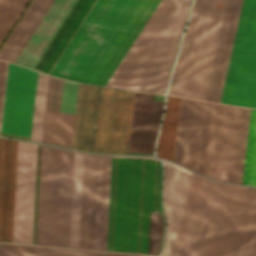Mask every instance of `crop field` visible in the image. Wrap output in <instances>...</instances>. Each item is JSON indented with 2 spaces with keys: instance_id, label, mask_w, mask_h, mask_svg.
Instances as JSON below:
<instances>
[{
  "instance_id": "obj_1",
  "label": "crop field",
  "mask_w": 256,
  "mask_h": 256,
  "mask_svg": "<svg viewBox=\"0 0 256 256\" xmlns=\"http://www.w3.org/2000/svg\"><path fill=\"white\" fill-rule=\"evenodd\" d=\"M161 164L112 156L107 251L147 254L149 212H161Z\"/></svg>"
},
{
  "instance_id": "obj_2",
  "label": "crop field",
  "mask_w": 256,
  "mask_h": 256,
  "mask_svg": "<svg viewBox=\"0 0 256 256\" xmlns=\"http://www.w3.org/2000/svg\"><path fill=\"white\" fill-rule=\"evenodd\" d=\"M191 0H162L106 86L163 92Z\"/></svg>"
},
{
  "instance_id": "obj_3",
  "label": "crop field",
  "mask_w": 256,
  "mask_h": 256,
  "mask_svg": "<svg viewBox=\"0 0 256 256\" xmlns=\"http://www.w3.org/2000/svg\"><path fill=\"white\" fill-rule=\"evenodd\" d=\"M66 150L42 145L36 244L62 247ZM83 153L67 150L63 247L78 248Z\"/></svg>"
},
{
  "instance_id": "obj_4",
  "label": "crop field",
  "mask_w": 256,
  "mask_h": 256,
  "mask_svg": "<svg viewBox=\"0 0 256 256\" xmlns=\"http://www.w3.org/2000/svg\"><path fill=\"white\" fill-rule=\"evenodd\" d=\"M142 0H97L51 75L89 83Z\"/></svg>"
},
{
  "instance_id": "obj_5",
  "label": "crop field",
  "mask_w": 256,
  "mask_h": 256,
  "mask_svg": "<svg viewBox=\"0 0 256 256\" xmlns=\"http://www.w3.org/2000/svg\"><path fill=\"white\" fill-rule=\"evenodd\" d=\"M227 0H194L168 94L204 100Z\"/></svg>"
},
{
  "instance_id": "obj_6",
  "label": "crop field",
  "mask_w": 256,
  "mask_h": 256,
  "mask_svg": "<svg viewBox=\"0 0 256 256\" xmlns=\"http://www.w3.org/2000/svg\"><path fill=\"white\" fill-rule=\"evenodd\" d=\"M16 141L0 138V241L11 242ZM36 144L17 141L12 242L31 244Z\"/></svg>"
},
{
  "instance_id": "obj_7",
  "label": "crop field",
  "mask_w": 256,
  "mask_h": 256,
  "mask_svg": "<svg viewBox=\"0 0 256 256\" xmlns=\"http://www.w3.org/2000/svg\"><path fill=\"white\" fill-rule=\"evenodd\" d=\"M249 112L211 103L203 175L240 183Z\"/></svg>"
},
{
  "instance_id": "obj_8",
  "label": "crop field",
  "mask_w": 256,
  "mask_h": 256,
  "mask_svg": "<svg viewBox=\"0 0 256 256\" xmlns=\"http://www.w3.org/2000/svg\"><path fill=\"white\" fill-rule=\"evenodd\" d=\"M255 97L256 0H243L220 102L253 107Z\"/></svg>"
},
{
  "instance_id": "obj_9",
  "label": "crop field",
  "mask_w": 256,
  "mask_h": 256,
  "mask_svg": "<svg viewBox=\"0 0 256 256\" xmlns=\"http://www.w3.org/2000/svg\"><path fill=\"white\" fill-rule=\"evenodd\" d=\"M111 156L84 153L79 248L106 251Z\"/></svg>"
},
{
  "instance_id": "obj_10",
  "label": "crop field",
  "mask_w": 256,
  "mask_h": 256,
  "mask_svg": "<svg viewBox=\"0 0 256 256\" xmlns=\"http://www.w3.org/2000/svg\"><path fill=\"white\" fill-rule=\"evenodd\" d=\"M6 62L0 61V104ZM37 72L6 65L0 112V132L29 137Z\"/></svg>"
},
{
  "instance_id": "obj_11",
  "label": "crop field",
  "mask_w": 256,
  "mask_h": 256,
  "mask_svg": "<svg viewBox=\"0 0 256 256\" xmlns=\"http://www.w3.org/2000/svg\"><path fill=\"white\" fill-rule=\"evenodd\" d=\"M217 184L193 174L171 256H198Z\"/></svg>"
},
{
  "instance_id": "obj_12",
  "label": "crop field",
  "mask_w": 256,
  "mask_h": 256,
  "mask_svg": "<svg viewBox=\"0 0 256 256\" xmlns=\"http://www.w3.org/2000/svg\"><path fill=\"white\" fill-rule=\"evenodd\" d=\"M246 188L218 184L199 256H229Z\"/></svg>"
},
{
  "instance_id": "obj_13",
  "label": "crop field",
  "mask_w": 256,
  "mask_h": 256,
  "mask_svg": "<svg viewBox=\"0 0 256 256\" xmlns=\"http://www.w3.org/2000/svg\"><path fill=\"white\" fill-rule=\"evenodd\" d=\"M210 103L181 98L173 161L201 173ZM195 171V172H196Z\"/></svg>"
},
{
  "instance_id": "obj_14",
  "label": "crop field",
  "mask_w": 256,
  "mask_h": 256,
  "mask_svg": "<svg viewBox=\"0 0 256 256\" xmlns=\"http://www.w3.org/2000/svg\"><path fill=\"white\" fill-rule=\"evenodd\" d=\"M78 83L49 77L46 109L75 114ZM45 110L42 141L71 147L75 115Z\"/></svg>"
},
{
  "instance_id": "obj_15",
  "label": "crop field",
  "mask_w": 256,
  "mask_h": 256,
  "mask_svg": "<svg viewBox=\"0 0 256 256\" xmlns=\"http://www.w3.org/2000/svg\"><path fill=\"white\" fill-rule=\"evenodd\" d=\"M135 92L128 151L153 153L164 101Z\"/></svg>"
},
{
  "instance_id": "obj_16",
  "label": "crop field",
  "mask_w": 256,
  "mask_h": 256,
  "mask_svg": "<svg viewBox=\"0 0 256 256\" xmlns=\"http://www.w3.org/2000/svg\"><path fill=\"white\" fill-rule=\"evenodd\" d=\"M160 0H143L109 54L90 81L105 86L137 35L159 4Z\"/></svg>"
},
{
  "instance_id": "obj_17",
  "label": "crop field",
  "mask_w": 256,
  "mask_h": 256,
  "mask_svg": "<svg viewBox=\"0 0 256 256\" xmlns=\"http://www.w3.org/2000/svg\"><path fill=\"white\" fill-rule=\"evenodd\" d=\"M96 0H76L54 36L33 66L49 74Z\"/></svg>"
},
{
  "instance_id": "obj_18",
  "label": "crop field",
  "mask_w": 256,
  "mask_h": 256,
  "mask_svg": "<svg viewBox=\"0 0 256 256\" xmlns=\"http://www.w3.org/2000/svg\"><path fill=\"white\" fill-rule=\"evenodd\" d=\"M242 0H228L216 51L212 75L206 95L208 101L219 102L230 50L238 21Z\"/></svg>"
},
{
  "instance_id": "obj_19",
  "label": "crop field",
  "mask_w": 256,
  "mask_h": 256,
  "mask_svg": "<svg viewBox=\"0 0 256 256\" xmlns=\"http://www.w3.org/2000/svg\"><path fill=\"white\" fill-rule=\"evenodd\" d=\"M163 162L165 165L163 207L166 236L161 255L167 256L190 172L169 162Z\"/></svg>"
},
{
  "instance_id": "obj_20",
  "label": "crop field",
  "mask_w": 256,
  "mask_h": 256,
  "mask_svg": "<svg viewBox=\"0 0 256 256\" xmlns=\"http://www.w3.org/2000/svg\"><path fill=\"white\" fill-rule=\"evenodd\" d=\"M75 0H55L16 61L32 68Z\"/></svg>"
},
{
  "instance_id": "obj_21",
  "label": "crop field",
  "mask_w": 256,
  "mask_h": 256,
  "mask_svg": "<svg viewBox=\"0 0 256 256\" xmlns=\"http://www.w3.org/2000/svg\"><path fill=\"white\" fill-rule=\"evenodd\" d=\"M230 256H256V189L247 188Z\"/></svg>"
},
{
  "instance_id": "obj_22",
  "label": "crop field",
  "mask_w": 256,
  "mask_h": 256,
  "mask_svg": "<svg viewBox=\"0 0 256 256\" xmlns=\"http://www.w3.org/2000/svg\"><path fill=\"white\" fill-rule=\"evenodd\" d=\"M0 256H140L19 244L0 243Z\"/></svg>"
},
{
  "instance_id": "obj_23",
  "label": "crop field",
  "mask_w": 256,
  "mask_h": 256,
  "mask_svg": "<svg viewBox=\"0 0 256 256\" xmlns=\"http://www.w3.org/2000/svg\"><path fill=\"white\" fill-rule=\"evenodd\" d=\"M180 98L167 96L161 133L156 155L172 160Z\"/></svg>"
},
{
  "instance_id": "obj_24",
  "label": "crop field",
  "mask_w": 256,
  "mask_h": 256,
  "mask_svg": "<svg viewBox=\"0 0 256 256\" xmlns=\"http://www.w3.org/2000/svg\"><path fill=\"white\" fill-rule=\"evenodd\" d=\"M241 183L256 185V110L251 109Z\"/></svg>"
},
{
  "instance_id": "obj_25",
  "label": "crop field",
  "mask_w": 256,
  "mask_h": 256,
  "mask_svg": "<svg viewBox=\"0 0 256 256\" xmlns=\"http://www.w3.org/2000/svg\"><path fill=\"white\" fill-rule=\"evenodd\" d=\"M48 76L38 72L30 140L41 142Z\"/></svg>"
},
{
  "instance_id": "obj_26",
  "label": "crop field",
  "mask_w": 256,
  "mask_h": 256,
  "mask_svg": "<svg viewBox=\"0 0 256 256\" xmlns=\"http://www.w3.org/2000/svg\"><path fill=\"white\" fill-rule=\"evenodd\" d=\"M5 0H0V7ZM27 0H6L0 9V41L21 11Z\"/></svg>"
},
{
  "instance_id": "obj_27",
  "label": "crop field",
  "mask_w": 256,
  "mask_h": 256,
  "mask_svg": "<svg viewBox=\"0 0 256 256\" xmlns=\"http://www.w3.org/2000/svg\"><path fill=\"white\" fill-rule=\"evenodd\" d=\"M163 232L162 214H150L148 254L157 255Z\"/></svg>"
},
{
  "instance_id": "obj_28",
  "label": "crop field",
  "mask_w": 256,
  "mask_h": 256,
  "mask_svg": "<svg viewBox=\"0 0 256 256\" xmlns=\"http://www.w3.org/2000/svg\"><path fill=\"white\" fill-rule=\"evenodd\" d=\"M192 174L193 173H190L189 181H188V184H187L185 196H184V199H183L182 207H181V210H180L179 218H178V221H177L176 229H175V232H174V236H173V240H172V244H171L168 256L171 255L172 247H173V244H174V240H175V236H176V233H177L178 225H179V222H180L181 214H182L183 207H184V204H185V200H186V196H187V193H188L189 185H190V182H191Z\"/></svg>"
}]
</instances>
